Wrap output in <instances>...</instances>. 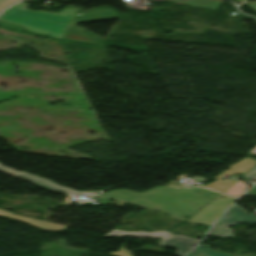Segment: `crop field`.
I'll return each mask as SVG.
<instances>
[{"instance_id": "12", "label": "crop field", "mask_w": 256, "mask_h": 256, "mask_svg": "<svg viewBox=\"0 0 256 256\" xmlns=\"http://www.w3.org/2000/svg\"><path fill=\"white\" fill-rule=\"evenodd\" d=\"M210 247L199 245L190 255L188 256H227L220 253H214L209 250Z\"/></svg>"}, {"instance_id": "2", "label": "crop field", "mask_w": 256, "mask_h": 256, "mask_svg": "<svg viewBox=\"0 0 256 256\" xmlns=\"http://www.w3.org/2000/svg\"><path fill=\"white\" fill-rule=\"evenodd\" d=\"M239 222L252 224L256 222V216L249 215L242 207L234 204L209 230L211 235L220 237H233L234 230L229 229L230 225Z\"/></svg>"}, {"instance_id": "18", "label": "crop field", "mask_w": 256, "mask_h": 256, "mask_svg": "<svg viewBox=\"0 0 256 256\" xmlns=\"http://www.w3.org/2000/svg\"><path fill=\"white\" fill-rule=\"evenodd\" d=\"M0 26L18 30V31H21L23 29V27H20V26L9 25V24H5V23H1V22H0Z\"/></svg>"}, {"instance_id": "21", "label": "crop field", "mask_w": 256, "mask_h": 256, "mask_svg": "<svg viewBox=\"0 0 256 256\" xmlns=\"http://www.w3.org/2000/svg\"><path fill=\"white\" fill-rule=\"evenodd\" d=\"M250 155H252V154H256V147L255 148H253L251 151H250V153H249Z\"/></svg>"}, {"instance_id": "10", "label": "crop field", "mask_w": 256, "mask_h": 256, "mask_svg": "<svg viewBox=\"0 0 256 256\" xmlns=\"http://www.w3.org/2000/svg\"><path fill=\"white\" fill-rule=\"evenodd\" d=\"M117 235L119 237L122 236H143V237H152V238H163L165 232H155V233H145V232H120L117 230H111L104 236H112Z\"/></svg>"}, {"instance_id": "20", "label": "crop field", "mask_w": 256, "mask_h": 256, "mask_svg": "<svg viewBox=\"0 0 256 256\" xmlns=\"http://www.w3.org/2000/svg\"><path fill=\"white\" fill-rule=\"evenodd\" d=\"M248 5L256 10V2H249Z\"/></svg>"}, {"instance_id": "13", "label": "crop field", "mask_w": 256, "mask_h": 256, "mask_svg": "<svg viewBox=\"0 0 256 256\" xmlns=\"http://www.w3.org/2000/svg\"><path fill=\"white\" fill-rule=\"evenodd\" d=\"M221 197H225V199H221ZM234 200H235L234 198H230V197L221 195V196H220L218 199H216L213 203H214V204H220V205L229 206Z\"/></svg>"}, {"instance_id": "19", "label": "crop field", "mask_w": 256, "mask_h": 256, "mask_svg": "<svg viewBox=\"0 0 256 256\" xmlns=\"http://www.w3.org/2000/svg\"><path fill=\"white\" fill-rule=\"evenodd\" d=\"M256 195V186L251 188L244 196H255Z\"/></svg>"}, {"instance_id": "14", "label": "crop field", "mask_w": 256, "mask_h": 256, "mask_svg": "<svg viewBox=\"0 0 256 256\" xmlns=\"http://www.w3.org/2000/svg\"><path fill=\"white\" fill-rule=\"evenodd\" d=\"M138 250H147V251H153V252H160L163 253V248L161 247H156V246H148V245H143L140 249ZM137 251V250H136ZM135 252V251H134Z\"/></svg>"}, {"instance_id": "9", "label": "crop field", "mask_w": 256, "mask_h": 256, "mask_svg": "<svg viewBox=\"0 0 256 256\" xmlns=\"http://www.w3.org/2000/svg\"><path fill=\"white\" fill-rule=\"evenodd\" d=\"M63 39L77 41V42L90 43V44H95L98 41L95 38L88 37V36L81 34L79 29L72 28V27H68Z\"/></svg>"}, {"instance_id": "3", "label": "crop field", "mask_w": 256, "mask_h": 256, "mask_svg": "<svg viewBox=\"0 0 256 256\" xmlns=\"http://www.w3.org/2000/svg\"><path fill=\"white\" fill-rule=\"evenodd\" d=\"M0 171H3L5 173L11 174L13 176L19 177L21 179L27 180L29 182L35 183V184H37L39 186H42L46 189L57 191V192L68 194V195H72V196H76V195L92 196L94 194V193L73 191V190H70L68 188L59 186L55 183H52L50 181H47L43 178H40V177H37V176H34V175H30V174H27V173L14 172V171L10 170L9 168H7V167H5L1 164H0Z\"/></svg>"}, {"instance_id": "8", "label": "crop field", "mask_w": 256, "mask_h": 256, "mask_svg": "<svg viewBox=\"0 0 256 256\" xmlns=\"http://www.w3.org/2000/svg\"><path fill=\"white\" fill-rule=\"evenodd\" d=\"M113 16H116V15L111 10H98V11L78 13V14L74 15V17L70 23V26H71L72 22L102 18V17H113Z\"/></svg>"}, {"instance_id": "1", "label": "crop field", "mask_w": 256, "mask_h": 256, "mask_svg": "<svg viewBox=\"0 0 256 256\" xmlns=\"http://www.w3.org/2000/svg\"><path fill=\"white\" fill-rule=\"evenodd\" d=\"M29 3L20 2L3 12L0 20L25 27V30L62 39L76 9H64L58 13L29 11Z\"/></svg>"}, {"instance_id": "15", "label": "crop field", "mask_w": 256, "mask_h": 256, "mask_svg": "<svg viewBox=\"0 0 256 256\" xmlns=\"http://www.w3.org/2000/svg\"><path fill=\"white\" fill-rule=\"evenodd\" d=\"M256 160V159H255ZM245 178L256 180V166L253 167L249 172L243 175Z\"/></svg>"}, {"instance_id": "16", "label": "crop field", "mask_w": 256, "mask_h": 256, "mask_svg": "<svg viewBox=\"0 0 256 256\" xmlns=\"http://www.w3.org/2000/svg\"><path fill=\"white\" fill-rule=\"evenodd\" d=\"M125 245H122L121 249L117 252H111V254L117 255V256H131V252L130 251H126L125 249Z\"/></svg>"}, {"instance_id": "5", "label": "crop field", "mask_w": 256, "mask_h": 256, "mask_svg": "<svg viewBox=\"0 0 256 256\" xmlns=\"http://www.w3.org/2000/svg\"><path fill=\"white\" fill-rule=\"evenodd\" d=\"M197 242L198 239L183 235L174 236L167 232L160 245L176 248V254L181 256L189 251L193 247L192 245Z\"/></svg>"}, {"instance_id": "7", "label": "crop field", "mask_w": 256, "mask_h": 256, "mask_svg": "<svg viewBox=\"0 0 256 256\" xmlns=\"http://www.w3.org/2000/svg\"><path fill=\"white\" fill-rule=\"evenodd\" d=\"M227 207L210 204L201 213L189 219V222L211 225Z\"/></svg>"}, {"instance_id": "17", "label": "crop field", "mask_w": 256, "mask_h": 256, "mask_svg": "<svg viewBox=\"0 0 256 256\" xmlns=\"http://www.w3.org/2000/svg\"><path fill=\"white\" fill-rule=\"evenodd\" d=\"M16 1L18 0H0V10Z\"/></svg>"}, {"instance_id": "6", "label": "crop field", "mask_w": 256, "mask_h": 256, "mask_svg": "<svg viewBox=\"0 0 256 256\" xmlns=\"http://www.w3.org/2000/svg\"><path fill=\"white\" fill-rule=\"evenodd\" d=\"M0 216L10 218L13 220H17V221L26 223L28 225H31V226H34V227H37V228H40V229H43L46 231H62V229L67 228V226H63V225H58V224L49 223V222H45V221H41V220H37V219H33V218L22 217V216L10 214L3 209H0Z\"/></svg>"}, {"instance_id": "4", "label": "crop field", "mask_w": 256, "mask_h": 256, "mask_svg": "<svg viewBox=\"0 0 256 256\" xmlns=\"http://www.w3.org/2000/svg\"><path fill=\"white\" fill-rule=\"evenodd\" d=\"M254 164L255 163L253 162V160L251 158L246 157L245 159H243L239 163L231 165L229 170L223 171L222 174L217 175L215 177L217 181H215V182H213L211 184H208V185H203V186L223 192L231 184H233L234 181H230V180H228V181H221L220 179L222 177H224L226 174L232 175V174H235L237 172L244 173L249 168H251ZM218 176H221V177L218 178Z\"/></svg>"}, {"instance_id": "11", "label": "crop field", "mask_w": 256, "mask_h": 256, "mask_svg": "<svg viewBox=\"0 0 256 256\" xmlns=\"http://www.w3.org/2000/svg\"><path fill=\"white\" fill-rule=\"evenodd\" d=\"M243 183L244 182L237 181L231 187H229L226 191H224V193L238 197L240 194L244 192L245 189H247V185Z\"/></svg>"}]
</instances>
